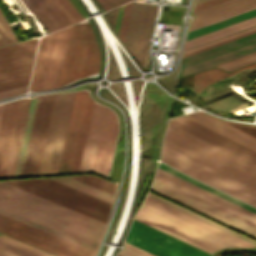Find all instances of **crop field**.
Here are the masks:
<instances>
[{"mask_svg":"<svg viewBox=\"0 0 256 256\" xmlns=\"http://www.w3.org/2000/svg\"><path fill=\"white\" fill-rule=\"evenodd\" d=\"M161 161L256 207V166L168 123Z\"/></svg>","mask_w":256,"mask_h":256,"instance_id":"8a807250","label":"crop field"},{"mask_svg":"<svg viewBox=\"0 0 256 256\" xmlns=\"http://www.w3.org/2000/svg\"><path fill=\"white\" fill-rule=\"evenodd\" d=\"M0 213L95 251L105 223L0 182Z\"/></svg>","mask_w":256,"mask_h":256,"instance_id":"ac0d7876","label":"crop field"},{"mask_svg":"<svg viewBox=\"0 0 256 256\" xmlns=\"http://www.w3.org/2000/svg\"><path fill=\"white\" fill-rule=\"evenodd\" d=\"M10 185L106 223L110 204L49 178L7 181Z\"/></svg>","mask_w":256,"mask_h":256,"instance_id":"34b2d1b8","label":"crop field"},{"mask_svg":"<svg viewBox=\"0 0 256 256\" xmlns=\"http://www.w3.org/2000/svg\"><path fill=\"white\" fill-rule=\"evenodd\" d=\"M134 219L210 254L226 247H239L144 203Z\"/></svg>","mask_w":256,"mask_h":256,"instance_id":"412701ff","label":"crop field"},{"mask_svg":"<svg viewBox=\"0 0 256 256\" xmlns=\"http://www.w3.org/2000/svg\"><path fill=\"white\" fill-rule=\"evenodd\" d=\"M99 66L100 52L90 24L73 25L59 87L97 73Z\"/></svg>","mask_w":256,"mask_h":256,"instance_id":"f4fd0767","label":"crop field"},{"mask_svg":"<svg viewBox=\"0 0 256 256\" xmlns=\"http://www.w3.org/2000/svg\"><path fill=\"white\" fill-rule=\"evenodd\" d=\"M117 130L116 120L93 109L79 172L94 171L107 177Z\"/></svg>","mask_w":256,"mask_h":256,"instance_id":"dd49c442","label":"crop field"},{"mask_svg":"<svg viewBox=\"0 0 256 256\" xmlns=\"http://www.w3.org/2000/svg\"><path fill=\"white\" fill-rule=\"evenodd\" d=\"M70 28L41 38L29 90L58 87Z\"/></svg>","mask_w":256,"mask_h":256,"instance_id":"e52e79f7","label":"crop field"},{"mask_svg":"<svg viewBox=\"0 0 256 256\" xmlns=\"http://www.w3.org/2000/svg\"><path fill=\"white\" fill-rule=\"evenodd\" d=\"M75 92L56 94L38 175L56 174Z\"/></svg>","mask_w":256,"mask_h":256,"instance_id":"d8731c3e","label":"crop field"},{"mask_svg":"<svg viewBox=\"0 0 256 256\" xmlns=\"http://www.w3.org/2000/svg\"><path fill=\"white\" fill-rule=\"evenodd\" d=\"M256 52V33L183 57L179 75L184 76Z\"/></svg>","mask_w":256,"mask_h":256,"instance_id":"5a996713","label":"crop field"},{"mask_svg":"<svg viewBox=\"0 0 256 256\" xmlns=\"http://www.w3.org/2000/svg\"><path fill=\"white\" fill-rule=\"evenodd\" d=\"M37 41L0 48V91L28 84Z\"/></svg>","mask_w":256,"mask_h":256,"instance_id":"3316defc","label":"crop field"},{"mask_svg":"<svg viewBox=\"0 0 256 256\" xmlns=\"http://www.w3.org/2000/svg\"><path fill=\"white\" fill-rule=\"evenodd\" d=\"M176 239L133 220L125 241L157 256H209L210 254Z\"/></svg>","mask_w":256,"mask_h":256,"instance_id":"28ad6ade","label":"crop field"},{"mask_svg":"<svg viewBox=\"0 0 256 256\" xmlns=\"http://www.w3.org/2000/svg\"><path fill=\"white\" fill-rule=\"evenodd\" d=\"M0 231L59 256H93V252L0 214Z\"/></svg>","mask_w":256,"mask_h":256,"instance_id":"d1516ede","label":"crop field"},{"mask_svg":"<svg viewBox=\"0 0 256 256\" xmlns=\"http://www.w3.org/2000/svg\"><path fill=\"white\" fill-rule=\"evenodd\" d=\"M157 6L143 3H133L127 34L124 44L136 60L147 68V48Z\"/></svg>","mask_w":256,"mask_h":256,"instance_id":"22f410ed","label":"crop field"},{"mask_svg":"<svg viewBox=\"0 0 256 256\" xmlns=\"http://www.w3.org/2000/svg\"><path fill=\"white\" fill-rule=\"evenodd\" d=\"M155 180L256 226V214L211 194L195 185L157 169Z\"/></svg>","mask_w":256,"mask_h":256,"instance_id":"cbeb9de0","label":"crop field"},{"mask_svg":"<svg viewBox=\"0 0 256 256\" xmlns=\"http://www.w3.org/2000/svg\"><path fill=\"white\" fill-rule=\"evenodd\" d=\"M151 190L256 238V227L154 180Z\"/></svg>","mask_w":256,"mask_h":256,"instance_id":"5142ce71","label":"crop field"},{"mask_svg":"<svg viewBox=\"0 0 256 256\" xmlns=\"http://www.w3.org/2000/svg\"><path fill=\"white\" fill-rule=\"evenodd\" d=\"M170 122L256 164V153L183 117H176L169 120Z\"/></svg>","mask_w":256,"mask_h":256,"instance_id":"d9b57169","label":"crop field"},{"mask_svg":"<svg viewBox=\"0 0 256 256\" xmlns=\"http://www.w3.org/2000/svg\"><path fill=\"white\" fill-rule=\"evenodd\" d=\"M88 91L76 92L57 174L69 173Z\"/></svg>","mask_w":256,"mask_h":256,"instance_id":"733c2abd","label":"crop field"},{"mask_svg":"<svg viewBox=\"0 0 256 256\" xmlns=\"http://www.w3.org/2000/svg\"><path fill=\"white\" fill-rule=\"evenodd\" d=\"M50 97L40 96L38 99L24 165L35 164ZM33 169L34 165L24 166L21 176L32 175Z\"/></svg>","mask_w":256,"mask_h":256,"instance_id":"4a817a6b","label":"crop field"},{"mask_svg":"<svg viewBox=\"0 0 256 256\" xmlns=\"http://www.w3.org/2000/svg\"><path fill=\"white\" fill-rule=\"evenodd\" d=\"M185 117L253 150L256 152V138L206 114L201 111H197Z\"/></svg>","mask_w":256,"mask_h":256,"instance_id":"bc2a9ffb","label":"crop field"},{"mask_svg":"<svg viewBox=\"0 0 256 256\" xmlns=\"http://www.w3.org/2000/svg\"><path fill=\"white\" fill-rule=\"evenodd\" d=\"M144 203L150 205V206H153L161 211H164L170 215H173L181 220H184L190 224H193L201 229H204L210 233H213L221 238H224L230 242H233L241 247H254L255 245L247 242V241H244L236 236H233L225 231H222L214 226H211L203 221H200L192 216H189L181 211H178L170 206H167L159 201H156L150 197H146V199L144 200Z\"/></svg>","mask_w":256,"mask_h":256,"instance_id":"214f88e0","label":"crop field"},{"mask_svg":"<svg viewBox=\"0 0 256 256\" xmlns=\"http://www.w3.org/2000/svg\"><path fill=\"white\" fill-rule=\"evenodd\" d=\"M20 101L21 99L7 103L5 106L0 128V177L4 175Z\"/></svg>","mask_w":256,"mask_h":256,"instance_id":"92a150f3","label":"crop field"},{"mask_svg":"<svg viewBox=\"0 0 256 256\" xmlns=\"http://www.w3.org/2000/svg\"><path fill=\"white\" fill-rule=\"evenodd\" d=\"M256 4V0H228L193 13L190 26ZM189 26V27H190Z\"/></svg>","mask_w":256,"mask_h":256,"instance_id":"dafd665d","label":"crop field"},{"mask_svg":"<svg viewBox=\"0 0 256 256\" xmlns=\"http://www.w3.org/2000/svg\"><path fill=\"white\" fill-rule=\"evenodd\" d=\"M30 99H22L4 177H13Z\"/></svg>","mask_w":256,"mask_h":256,"instance_id":"00972430","label":"crop field"},{"mask_svg":"<svg viewBox=\"0 0 256 256\" xmlns=\"http://www.w3.org/2000/svg\"><path fill=\"white\" fill-rule=\"evenodd\" d=\"M0 256H55L0 234Z\"/></svg>","mask_w":256,"mask_h":256,"instance_id":"a9b5d70f","label":"crop field"},{"mask_svg":"<svg viewBox=\"0 0 256 256\" xmlns=\"http://www.w3.org/2000/svg\"><path fill=\"white\" fill-rule=\"evenodd\" d=\"M35 15L40 19L49 33L58 30L64 25L52 12L43 0H24Z\"/></svg>","mask_w":256,"mask_h":256,"instance_id":"4177f3b9","label":"crop field"},{"mask_svg":"<svg viewBox=\"0 0 256 256\" xmlns=\"http://www.w3.org/2000/svg\"><path fill=\"white\" fill-rule=\"evenodd\" d=\"M93 103L94 100L88 94L70 173L78 172L79 170Z\"/></svg>","mask_w":256,"mask_h":256,"instance_id":"730fd06b","label":"crop field"},{"mask_svg":"<svg viewBox=\"0 0 256 256\" xmlns=\"http://www.w3.org/2000/svg\"><path fill=\"white\" fill-rule=\"evenodd\" d=\"M65 26L83 20L68 0H44Z\"/></svg>","mask_w":256,"mask_h":256,"instance_id":"eef30255","label":"crop field"},{"mask_svg":"<svg viewBox=\"0 0 256 256\" xmlns=\"http://www.w3.org/2000/svg\"><path fill=\"white\" fill-rule=\"evenodd\" d=\"M255 24H256V17L233 24V25H230V26H227L225 28H222V29L201 35L199 37L187 40L186 44H185V48L197 45L199 43L226 35L228 33H231V32H234V31H237V30H240V29H243V28L255 25Z\"/></svg>","mask_w":256,"mask_h":256,"instance_id":"ae1a2a85","label":"crop field"},{"mask_svg":"<svg viewBox=\"0 0 256 256\" xmlns=\"http://www.w3.org/2000/svg\"><path fill=\"white\" fill-rule=\"evenodd\" d=\"M51 179L61 182L65 185H68L72 188L80 190L84 193H87L91 196H94V197L101 199L103 201H106L108 203H112V199H113L114 195L111 193H108L106 191L100 190L98 188H95V187L85 184L83 182L77 181L70 177H58V178H51Z\"/></svg>","mask_w":256,"mask_h":256,"instance_id":"d3111659","label":"crop field"},{"mask_svg":"<svg viewBox=\"0 0 256 256\" xmlns=\"http://www.w3.org/2000/svg\"><path fill=\"white\" fill-rule=\"evenodd\" d=\"M37 99H38V97L31 99V101H30L28 115H27V119H26L25 129H24V133H23L22 143H21V147H20V152H19V157H18L14 177L20 176V174H21L22 165H23V161H24L26 148H27V143H28V139H29V134H30V130H31V125H32V121H33V116H34V112H35V108H36Z\"/></svg>","mask_w":256,"mask_h":256,"instance_id":"750c4746","label":"crop field"},{"mask_svg":"<svg viewBox=\"0 0 256 256\" xmlns=\"http://www.w3.org/2000/svg\"><path fill=\"white\" fill-rule=\"evenodd\" d=\"M256 16V9L188 33L187 39Z\"/></svg>","mask_w":256,"mask_h":256,"instance_id":"bd1437ed","label":"crop field"},{"mask_svg":"<svg viewBox=\"0 0 256 256\" xmlns=\"http://www.w3.org/2000/svg\"><path fill=\"white\" fill-rule=\"evenodd\" d=\"M158 167L163 169V170H165V171H167V172H169V173H171V174H173V175H176V176H178V177H180V178H182V179H184V180H186L188 182H191V183H193V184H195V185H197V186H199V187H201V188H203L205 190H208V191H210V192H212V193H214V194H216V195H218V196H220L222 198H225V199H227V200H229V201H231V202H233V203H235L237 205H240V206H242V207H244V208H246V209L256 213V209L255 208L250 207V206H248V205H246V204H244L242 202H239V201H237V200H235V199H233V198H231V197H229V196H227V195H225V194H223V193H221V192H219V191H217V190H215L213 188H210V187H208V186H206L204 184H201V183H199L197 181H194V180H192V179L182 175L181 173H179V172H177V171H175V170H173V169H171V168H169V167H167V166H165V165H163L161 163L159 164Z\"/></svg>","mask_w":256,"mask_h":256,"instance_id":"1d83c4d3","label":"crop field"},{"mask_svg":"<svg viewBox=\"0 0 256 256\" xmlns=\"http://www.w3.org/2000/svg\"><path fill=\"white\" fill-rule=\"evenodd\" d=\"M72 178L83 181L85 183H88L90 185H93L95 187H98L100 189L106 190L114 194V190L116 186L115 184L102 180L100 178H97L95 176L84 175V176H74Z\"/></svg>","mask_w":256,"mask_h":256,"instance_id":"120bbe31","label":"crop field"},{"mask_svg":"<svg viewBox=\"0 0 256 256\" xmlns=\"http://www.w3.org/2000/svg\"><path fill=\"white\" fill-rule=\"evenodd\" d=\"M253 30H256V25H255V26H252V27H249V28H246V29H243V30H240V31H237V32H234V33H231V34H228V35H226V36H223V37H220V38H217V39L208 41V42L199 44V45H197V46H194V47L185 49L184 52H183V55H184V54H187V53H190V52H193V51H195V50H198V49H201V48H204V47L213 45V44H215V43H218V42H221V41H224V40L233 38V37H235V36H238V35H241V34H244V33L250 32V31H253Z\"/></svg>","mask_w":256,"mask_h":256,"instance_id":"d32e631a","label":"crop field"},{"mask_svg":"<svg viewBox=\"0 0 256 256\" xmlns=\"http://www.w3.org/2000/svg\"><path fill=\"white\" fill-rule=\"evenodd\" d=\"M16 39L6 22L5 18L3 17L2 13L0 12V46L16 43Z\"/></svg>","mask_w":256,"mask_h":256,"instance_id":"5866460e","label":"crop field"},{"mask_svg":"<svg viewBox=\"0 0 256 256\" xmlns=\"http://www.w3.org/2000/svg\"><path fill=\"white\" fill-rule=\"evenodd\" d=\"M148 196H150V197H152V198H154V199H156V200H159V201H161V202H163V203H165V204H167V205H170V206H172V207H174V208H176V209H178V210H181V211H183V212H185V213H187V214H189V215H192V216H194V217H196V218H198V219H200V220H203V221H205V222H207V223H209V224H211V225H214V226H216V227H218V228H220V229H222V230H225V231H227V232H229V233H231V234H233V235H236V236H238V237H240V238H242V239H244V240H247V241H249V242H251V243H253V244L256 245V242L253 241V240H251V239H248V238H246V237H244V236H242V235H240V234H237V233H235V232H233V231H231V230H229V229H226V228H224V227H222V226H220V225H218V224H215V223H213V222H211V221H209V220H207V219H204V218H202V217H200V216H198V215H196V214H194V213H191V212H189V211H187V210H185V209H183V208H180V207H178V206H176V205H174V204H172V203H169V202H167V201H165V200H163V199H161V198H158V197H156V196H154V195H152V194H150V193H148Z\"/></svg>","mask_w":256,"mask_h":256,"instance_id":"028f5c9d","label":"crop field"},{"mask_svg":"<svg viewBox=\"0 0 256 256\" xmlns=\"http://www.w3.org/2000/svg\"><path fill=\"white\" fill-rule=\"evenodd\" d=\"M54 96H55V94H52L50 105H49V110H48V114H47V119H46V123H45V127H44V132H43V136H42V140H41V145H40V149H39V154H38V158H37V162H36V166H35V170H34L33 175H37V173H38L39 164H40V160H41L42 150H43V146H44V141H45V137H46V132H47V128H48V123H49V119H50V114H51V109H52V105H53Z\"/></svg>","mask_w":256,"mask_h":256,"instance_id":"e1f06a70","label":"crop field"},{"mask_svg":"<svg viewBox=\"0 0 256 256\" xmlns=\"http://www.w3.org/2000/svg\"><path fill=\"white\" fill-rule=\"evenodd\" d=\"M131 4H132V2L126 4L125 7H124L122 20H121V24H120V28H119V32H118V35H119V37L121 38V40L123 42H124L127 23H128V19H129Z\"/></svg>","mask_w":256,"mask_h":256,"instance_id":"0bd39190","label":"crop field"},{"mask_svg":"<svg viewBox=\"0 0 256 256\" xmlns=\"http://www.w3.org/2000/svg\"><path fill=\"white\" fill-rule=\"evenodd\" d=\"M255 8H256V5H253V6H251V7H248V8H245V9H242V10H239V11H236V12H233V13H230V14H227V15H225V16H222V17H219V18H216V19H213V20L204 22V23H201V24H199V25L190 27L189 30H188V32H189V31H192V30H195V29H198V28H200V27H203V26H206V25H209V24L218 22V21H220V20H223V19H226V18L235 16V15H238V14H240V13H243V12H246V11H249V10H252V9H255Z\"/></svg>","mask_w":256,"mask_h":256,"instance_id":"b80d0937","label":"crop field"},{"mask_svg":"<svg viewBox=\"0 0 256 256\" xmlns=\"http://www.w3.org/2000/svg\"><path fill=\"white\" fill-rule=\"evenodd\" d=\"M27 86L28 85L22 86V87H18V88H14V89H10V90H6V91H2V92H0V98H4V97H8V96H13V95L24 93L27 90Z\"/></svg>","mask_w":256,"mask_h":256,"instance_id":"c035e120","label":"crop field"},{"mask_svg":"<svg viewBox=\"0 0 256 256\" xmlns=\"http://www.w3.org/2000/svg\"><path fill=\"white\" fill-rule=\"evenodd\" d=\"M220 120H222V119H220ZM223 121H226V120H223ZM227 122H231V121H227ZM231 123H235V122H231ZM235 124H240V123H235ZM231 125L256 137V127H249V126H256V125H249V126H241V125H234V124H231ZM242 125H244V124H242Z\"/></svg>","mask_w":256,"mask_h":256,"instance_id":"c21b1889","label":"crop field"},{"mask_svg":"<svg viewBox=\"0 0 256 256\" xmlns=\"http://www.w3.org/2000/svg\"><path fill=\"white\" fill-rule=\"evenodd\" d=\"M255 61H256V57L245 60V61H242V62H239V63H236V64H233L231 66H228V67H225V68H222V69H224L226 71H231L233 69L239 68L241 66L247 65V64L255 62Z\"/></svg>","mask_w":256,"mask_h":256,"instance_id":"03da06ac","label":"crop field"},{"mask_svg":"<svg viewBox=\"0 0 256 256\" xmlns=\"http://www.w3.org/2000/svg\"><path fill=\"white\" fill-rule=\"evenodd\" d=\"M223 1H225V0H209V1H206V2H204V3L195 5V6H194V9H193V12H194V11H197V10H200V9H203V8H205V7H208V6H211V5H214V4L223 2Z\"/></svg>","mask_w":256,"mask_h":256,"instance_id":"b54c1fbb","label":"crop field"},{"mask_svg":"<svg viewBox=\"0 0 256 256\" xmlns=\"http://www.w3.org/2000/svg\"><path fill=\"white\" fill-rule=\"evenodd\" d=\"M118 254L122 255V256H142L136 252H133L127 248H123Z\"/></svg>","mask_w":256,"mask_h":256,"instance_id":"5d738f31","label":"crop field"},{"mask_svg":"<svg viewBox=\"0 0 256 256\" xmlns=\"http://www.w3.org/2000/svg\"><path fill=\"white\" fill-rule=\"evenodd\" d=\"M104 1L108 4V6L110 8H112V7L118 6V5L122 4V3H125V2H127L129 0H104Z\"/></svg>","mask_w":256,"mask_h":256,"instance_id":"d23c7cc5","label":"crop field"},{"mask_svg":"<svg viewBox=\"0 0 256 256\" xmlns=\"http://www.w3.org/2000/svg\"><path fill=\"white\" fill-rule=\"evenodd\" d=\"M118 9H119V7L115 8V9H112V10H109V13H108V16L111 19L113 25H115Z\"/></svg>","mask_w":256,"mask_h":256,"instance_id":"425ffa30","label":"crop field"},{"mask_svg":"<svg viewBox=\"0 0 256 256\" xmlns=\"http://www.w3.org/2000/svg\"><path fill=\"white\" fill-rule=\"evenodd\" d=\"M125 246L130 248V249H132V250H134V251H136V252H138V253H141V254H143L145 256H154V255H152V254H150L148 252H145V251H143V250H141V249H139L137 247H134V246H132V245L126 243V242H125Z\"/></svg>","mask_w":256,"mask_h":256,"instance_id":"25e5ab78","label":"crop field"},{"mask_svg":"<svg viewBox=\"0 0 256 256\" xmlns=\"http://www.w3.org/2000/svg\"><path fill=\"white\" fill-rule=\"evenodd\" d=\"M253 56H256V53L251 54V55H248V56H245V57H242V58H239V59H237V60H234V61H231V62H228V63H225V64L220 65V66H217V67L222 68V67H225V66H228V65H230V64H233V63H236V62L245 60V59L250 58V57H253Z\"/></svg>","mask_w":256,"mask_h":256,"instance_id":"73cf0c24","label":"crop field"},{"mask_svg":"<svg viewBox=\"0 0 256 256\" xmlns=\"http://www.w3.org/2000/svg\"><path fill=\"white\" fill-rule=\"evenodd\" d=\"M254 32H256V31H253V32H250V33H247V34H244V35H241V36L235 37V38H233V39H236V38H239V37H242V36H245V35H248V34L254 33ZM233 39H230V40H233ZM230 40H227V41H230ZM227 41H224V42H227ZM224 42H221V43L215 44V45H213V46H216V45L222 44V43H224ZM213 46H210V47H213ZM210 47H207V48H210ZM207 48H204V49H207ZM204 49H201V50H204ZM201 50H198V51H201ZM198 51H195V52H198ZM195 52H193V53H195ZM190 54H192V53H190ZM187 55H189V54H187ZM184 56H186V55H184Z\"/></svg>","mask_w":256,"mask_h":256,"instance_id":"89e229c0","label":"crop field"},{"mask_svg":"<svg viewBox=\"0 0 256 256\" xmlns=\"http://www.w3.org/2000/svg\"><path fill=\"white\" fill-rule=\"evenodd\" d=\"M98 2L103 6V8L105 10L109 9V7L107 6V4L103 1V0H98Z\"/></svg>","mask_w":256,"mask_h":256,"instance_id":"1f2cbd36","label":"crop field"},{"mask_svg":"<svg viewBox=\"0 0 256 256\" xmlns=\"http://www.w3.org/2000/svg\"><path fill=\"white\" fill-rule=\"evenodd\" d=\"M4 106H5V104L0 105V124H1V119H2V115H3Z\"/></svg>","mask_w":256,"mask_h":256,"instance_id":"dbb93151","label":"crop field"},{"mask_svg":"<svg viewBox=\"0 0 256 256\" xmlns=\"http://www.w3.org/2000/svg\"><path fill=\"white\" fill-rule=\"evenodd\" d=\"M203 1H206V0H196V1H195V4L201 3V2H203ZM195 4H194V5H195Z\"/></svg>","mask_w":256,"mask_h":256,"instance_id":"0fb4a251","label":"crop field"},{"mask_svg":"<svg viewBox=\"0 0 256 256\" xmlns=\"http://www.w3.org/2000/svg\"><path fill=\"white\" fill-rule=\"evenodd\" d=\"M219 256V255H218Z\"/></svg>","mask_w":256,"mask_h":256,"instance_id":"1d79db26","label":"crop field"}]
</instances>
